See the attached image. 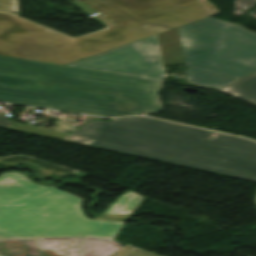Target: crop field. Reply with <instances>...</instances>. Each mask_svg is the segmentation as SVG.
<instances>
[{"label": "crop field", "instance_id": "obj_8", "mask_svg": "<svg viewBox=\"0 0 256 256\" xmlns=\"http://www.w3.org/2000/svg\"><path fill=\"white\" fill-rule=\"evenodd\" d=\"M164 65L184 63L178 29L158 34Z\"/></svg>", "mask_w": 256, "mask_h": 256}, {"label": "crop field", "instance_id": "obj_13", "mask_svg": "<svg viewBox=\"0 0 256 256\" xmlns=\"http://www.w3.org/2000/svg\"><path fill=\"white\" fill-rule=\"evenodd\" d=\"M8 130L22 132V133L31 134V135L40 136V137L49 138V139H54V140H58V141H60L62 138H64L66 136V134L34 129V128L26 126V125L16 127V128H11Z\"/></svg>", "mask_w": 256, "mask_h": 256}, {"label": "crop field", "instance_id": "obj_7", "mask_svg": "<svg viewBox=\"0 0 256 256\" xmlns=\"http://www.w3.org/2000/svg\"><path fill=\"white\" fill-rule=\"evenodd\" d=\"M36 241L42 252L57 251L67 256H111L121 249L106 240L48 239Z\"/></svg>", "mask_w": 256, "mask_h": 256}, {"label": "crop field", "instance_id": "obj_16", "mask_svg": "<svg viewBox=\"0 0 256 256\" xmlns=\"http://www.w3.org/2000/svg\"><path fill=\"white\" fill-rule=\"evenodd\" d=\"M48 130L70 134L76 129L59 121L56 127H50Z\"/></svg>", "mask_w": 256, "mask_h": 256}, {"label": "crop field", "instance_id": "obj_21", "mask_svg": "<svg viewBox=\"0 0 256 256\" xmlns=\"http://www.w3.org/2000/svg\"><path fill=\"white\" fill-rule=\"evenodd\" d=\"M255 203H256V196H255Z\"/></svg>", "mask_w": 256, "mask_h": 256}, {"label": "crop field", "instance_id": "obj_10", "mask_svg": "<svg viewBox=\"0 0 256 256\" xmlns=\"http://www.w3.org/2000/svg\"><path fill=\"white\" fill-rule=\"evenodd\" d=\"M141 200L142 197L127 191L110 206L106 213L104 212L105 214L103 216L112 218H130Z\"/></svg>", "mask_w": 256, "mask_h": 256}, {"label": "crop field", "instance_id": "obj_12", "mask_svg": "<svg viewBox=\"0 0 256 256\" xmlns=\"http://www.w3.org/2000/svg\"><path fill=\"white\" fill-rule=\"evenodd\" d=\"M1 161H5V162H16V161H27V162H31V163H35L43 168L49 169V170H53V171H57L59 173L62 174H71V173H80L78 171H74L68 168H64L58 165H54L48 162H44L38 159H34L31 157H27L24 155L21 156H14V157H3L0 158Z\"/></svg>", "mask_w": 256, "mask_h": 256}, {"label": "crop field", "instance_id": "obj_11", "mask_svg": "<svg viewBox=\"0 0 256 256\" xmlns=\"http://www.w3.org/2000/svg\"><path fill=\"white\" fill-rule=\"evenodd\" d=\"M186 70H187V76L189 81L196 84L204 85V86H211V87L220 89L235 81V80H231V79H227V78H223V77H219V76H215V75H211V74H207V73H203V72H199V71H195L187 68Z\"/></svg>", "mask_w": 256, "mask_h": 256}, {"label": "crop field", "instance_id": "obj_2", "mask_svg": "<svg viewBox=\"0 0 256 256\" xmlns=\"http://www.w3.org/2000/svg\"><path fill=\"white\" fill-rule=\"evenodd\" d=\"M202 131L132 117L90 121L61 141L256 183V143L229 135L208 139Z\"/></svg>", "mask_w": 256, "mask_h": 256}, {"label": "crop field", "instance_id": "obj_20", "mask_svg": "<svg viewBox=\"0 0 256 256\" xmlns=\"http://www.w3.org/2000/svg\"><path fill=\"white\" fill-rule=\"evenodd\" d=\"M3 211V208H2V205L0 204V212H2Z\"/></svg>", "mask_w": 256, "mask_h": 256}, {"label": "crop field", "instance_id": "obj_14", "mask_svg": "<svg viewBox=\"0 0 256 256\" xmlns=\"http://www.w3.org/2000/svg\"><path fill=\"white\" fill-rule=\"evenodd\" d=\"M113 256H159L146 250L127 244Z\"/></svg>", "mask_w": 256, "mask_h": 256}, {"label": "crop field", "instance_id": "obj_17", "mask_svg": "<svg viewBox=\"0 0 256 256\" xmlns=\"http://www.w3.org/2000/svg\"><path fill=\"white\" fill-rule=\"evenodd\" d=\"M120 75L139 77V78H145V79H151V80H157V81H160V79L162 77H164V73H155V74H120Z\"/></svg>", "mask_w": 256, "mask_h": 256}, {"label": "crop field", "instance_id": "obj_5", "mask_svg": "<svg viewBox=\"0 0 256 256\" xmlns=\"http://www.w3.org/2000/svg\"><path fill=\"white\" fill-rule=\"evenodd\" d=\"M178 29L186 67L236 80L256 71V33L211 18Z\"/></svg>", "mask_w": 256, "mask_h": 256}, {"label": "crop field", "instance_id": "obj_4", "mask_svg": "<svg viewBox=\"0 0 256 256\" xmlns=\"http://www.w3.org/2000/svg\"><path fill=\"white\" fill-rule=\"evenodd\" d=\"M84 200L35 185L23 174L0 176V239L91 237L113 241L127 221L85 217Z\"/></svg>", "mask_w": 256, "mask_h": 256}, {"label": "crop field", "instance_id": "obj_1", "mask_svg": "<svg viewBox=\"0 0 256 256\" xmlns=\"http://www.w3.org/2000/svg\"><path fill=\"white\" fill-rule=\"evenodd\" d=\"M105 30L71 39L0 13V55L66 65L124 44L218 14L207 0H76Z\"/></svg>", "mask_w": 256, "mask_h": 256}, {"label": "crop field", "instance_id": "obj_15", "mask_svg": "<svg viewBox=\"0 0 256 256\" xmlns=\"http://www.w3.org/2000/svg\"><path fill=\"white\" fill-rule=\"evenodd\" d=\"M0 11L19 13L18 0H0Z\"/></svg>", "mask_w": 256, "mask_h": 256}, {"label": "crop field", "instance_id": "obj_18", "mask_svg": "<svg viewBox=\"0 0 256 256\" xmlns=\"http://www.w3.org/2000/svg\"><path fill=\"white\" fill-rule=\"evenodd\" d=\"M12 122H13L12 120L0 115V128L6 129V128L13 127L10 125Z\"/></svg>", "mask_w": 256, "mask_h": 256}, {"label": "crop field", "instance_id": "obj_6", "mask_svg": "<svg viewBox=\"0 0 256 256\" xmlns=\"http://www.w3.org/2000/svg\"><path fill=\"white\" fill-rule=\"evenodd\" d=\"M68 66L113 74L164 72L157 35L86 58Z\"/></svg>", "mask_w": 256, "mask_h": 256}, {"label": "crop field", "instance_id": "obj_9", "mask_svg": "<svg viewBox=\"0 0 256 256\" xmlns=\"http://www.w3.org/2000/svg\"><path fill=\"white\" fill-rule=\"evenodd\" d=\"M220 91L256 105V72L221 89Z\"/></svg>", "mask_w": 256, "mask_h": 256}, {"label": "crop field", "instance_id": "obj_3", "mask_svg": "<svg viewBox=\"0 0 256 256\" xmlns=\"http://www.w3.org/2000/svg\"><path fill=\"white\" fill-rule=\"evenodd\" d=\"M0 101L89 115L121 116L157 112L159 82L0 56Z\"/></svg>", "mask_w": 256, "mask_h": 256}, {"label": "crop field", "instance_id": "obj_19", "mask_svg": "<svg viewBox=\"0 0 256 256\" xmlns=\"http://www.w3.org/2000/svg\"><path fill=\"white\" fill-rule=\"evenodd\" d=\"M201 135L206 136L208 138H213V139H217L219 136H222V137L225 136V134L215 133L207 130H204Z\"/></svg>", "mask_w": 256, "mask_h": 256}]
</instances>
